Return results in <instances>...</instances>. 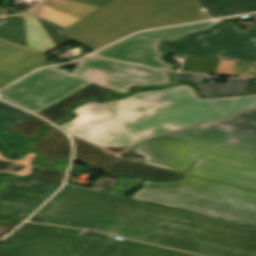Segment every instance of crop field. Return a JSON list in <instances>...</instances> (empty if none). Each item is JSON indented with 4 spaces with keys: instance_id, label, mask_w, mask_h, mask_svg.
Returning <instances> with one entry per match:
<instances>
[{
    "instance_id": "1",
    "label": "crop field",
    "mask_w": 256,
    "mask_h": 256,
    "mask_svg": "<svg viewBox=\"0 0 256 256\" xmlns=\"http://www.w3.org/2000/svg\"><path fill=\"white\" fill-rule=\"evenodd\" d=\"M143 163L256 191V110L148 140ZM130 198L256 226V193L185 176L145 180Z\"/></svg>"
},
{
    "instance_id": "2",
    "label": "crop field",
    "mask_w": 256,
    "mask_h": 256,
    "mask_svg": "<svg viewBox=\"0 0 256 256\" xmlns=\"http://www.w3.org/2000/svg\"><path fill=\"white\" fill-rule=\"evenodd\" d=\"M32 218L206 256H256V229L70 185Z\"/></svg>"
},
{
    "instance_id": "3",
    "label": "crop field",
    "mask_w": 256,
    "mask_h": 256,
    "mask_svg": "<svg viewBox=\"0 0 256 256\" xmlns=\"http://www.w3.org/2000/svg\"><path fill=\"white\" fill-rule=\"evenodd\" d=\"M252 108L256 95L199 99L192 87L181 85L90 102L73 109L77 117L59 126L99 147H130L147 137Z\"/></svg>"
},
{
    "instance_id": "4",
    "label": "crop field",
    "mask_w": 256,
    "mask_h": 256,
    "mask_svg": "<svg viewBox=\"0 0 256 256\" xmlns=\"http://www.w3.org/2000/svg\"><path fill=\"white\" fill-rule=\"evenodd\" d=\"M211 19L197 0H108L26 57L0 70L6 85L47 63L43 53L74 40L92 50L134 31Z\"/></svg>"
},
{
    "instance_id": "5",
    "label": "crop field",
    "mask_w": 256,
    "mask_h": 256,
    "mask_svg": "<svg viewBox=\"0 0 256 256\" xmlns=\"http://www.w3.org/2000/svg\"><path fill=\"white\" fill-rule=\"evenodd\" d=\"M76 68L64 72L51 67L39 70L0 91V99L35 114L93 83L128 93L133 86H158L173 82L168 72L87 56Z\"/></svg>"
},
{
    "instance_id": "6",
    "label": "crop field",
    "mask_w": 256,
    "mask_h": 256,
    "mask_svg": "<svg viewBox=\"0 0 256 256\" xmlns=\"http://www.w3.org/2000/svg\"><path fill=\"white\" fill-rule=\"evenodd\" d=\"M26 223L0 244V256H194L99 233Z\"/></svg>"
},
{
    "instance_id": "7",
    "label": "crop field",
    "mask_w": 256,
    "mask_h": 256,
    "mask_svg": "<svg viewBox=\"0 0 256 256\" xmlns=\"http://www.w3.org/2000/svg\"><path fill=\"white\" fill-rule=\"evenodd\" d=\"M164 49L174 50L173 55L256 62V28L240 31L232 22L197 38L165 42Z\"/></svg>"
},
{
    "instance_id": "8",
    "label": "crop field",
    "mask_w": 256,
    "mask_h": 256,
    "mask_svg": "<svg viewBox=\"0 0 256 256\" xmlns=\"http://www.w3.org/2000/svg\"><path fill=\"white\" fill-rule=\"evenodd\" d=\"M250 16L251 15L142 32L123 39L93 54L151 68L171 70L174 65L165 63L161 59L163 54V52L159 50L161 40H177L186 34H195L203 30L211 29L226 20L241 19Z\"/></svg>"
},
{
    "instance_id": "9",
    "label": "crop field",
    "mask_w": 256,
    "mask_h": 256,
    "mask_svg": "<svg viewBox=\"0 0 256 256\" xmlns=\"http://www.w3.org/2000/svg\"><path fill=\"white\" fill-rule=\"evenodd\" d=\"M0 222L18 226L61 184L34 177L0 176Z\"/></svg>"
},
{
    "instance_id": "10",
    "label": "crop field",
    "mask_w": 256,
    "mask_h": 256,
    "mask_svg": "<svg viewBox=\"0 0 256 256\" xmlns=\"http://www.w3.org/2000/svg\"><path fill=\"white\" fill-rule=\"evenodd\" d=\"M105 1L107 0H43L35 13L70 26ZM5 19L7 18L0 22ZM29 53L0 41V69Z\"/></svg>"
},
{
    "instance_id": "11",
    "label": "crop field",
    "mask_w": 256,
    "mask_h": 256,
    "mask_svg": "<svg viewBox=\"0 0 256 256\" xmlns=\"http://www.w3.org/2000/svg\"><path fill=\"white\" fill-rule=\"evenodd\" d=\"M2 134L16 136L24 141L23 147L19 149H9L6 154L11 155L13 152H26L34 150L44 157L43 164L57 163L63 160H70L71 146L66 135L57 128H52L46 134L34 141L30 142L19 137L16 134L1 132Z\"/></svg>"
},
{
    "instance_id": "12",
    "label": "crop field",
    "mask_w": 256,
    "mask_h": 256,
    "mask_svg": "<svg viewBox=\"0 0 256 256\" xmlns=\"http://www.w3.org/2000/svg\"><path fill=\"white\" fill-rule=\"evenodd\" d=\"M180 71L256 76V63L186 57Z\"/></svg>"
},
{
    "instance_id": "13",
    "label": "crop field",
    "mask_w": 256,
    "mask_h": 256,
    "mask_svg": "<svg viewBox=\"0 0 256 256\" xmlns=\"http://www.w3.org/2000/svg\"><path fill=\"white\" fill-rule=\"evenodd\" d=\"M115 92H117V91H113L110 89H106V88L91 84V85L85 87L84 89L76 92L75 94L69 96L68 98L60 101L59 103L53 105L52 107L44 110L43 112L39 113L38 115L55 123V122H58L64 118H66L67 116H69V114H67L65 112V110L68 107L74 105L75 103H77L83 99L105 97V96L110 95Z\"/></svg>"
},
{
    "instance_id": "14",
    "label": "crop field",
    "mask_w": 256,
    "mask_h": 256,
    "mask_svg": "<svg viewBox=\"0 0 256 256\" xmlns=\"http://www.w3.org/2000/svg\"><path fill=\"white\" fill-rule=\"evenodd\" d=\"M107 167L125 175L146 176L149 179H156V180H172L183 175L179 173H174V172H170L162 169H157V168L133 163L123 159H117L115 162L111 164H107Z\"/></svg>"
},
{
    "instance_id": "15",
    "label": "crop field",
    "mask_w": 256,
    "mask_h": 256,
    "mask_svg": "<svg viewBox=\"0 0 256 256\" xmlns=\"http://www.w3.org/2000/svg\"><path fill=\"white\" fill-rule=\"evenodd\" d=\"M213 18L256 11V0H200Z\"/></svg>"
},
{
    "instance_id": "16",
    "label": "crop field",
    "mask_w": 256,
    "mask_h": 256,
    "mask_svg": "<svg viewBox=\"0 0 256 256\" xmlns=\"http://www.w3.org/2000/svg\"><path fill=\"white\" fill-rule=\"evenodd\" d=\"M246 78L231 79L225 84L221 82L198 85L204 97L216 95L245 94Z\"/></svg>"
},
{
    "instance_id": "17",
    "label": "crop field",
    "mask_w": 256,
    "mask_h": 256,
    "mask_svg": "<svg viewBox=\"0 0 256 256\" xmlns=\"http://www.w3.org/2000/svg\"><path fill=\"white\" fill-rule=\"evenodd\" d=\"M75 143V156L76 160H83L90 166H95L98 163L105 164L113 157L109 156L106 152L101 149L79 139L72 137Z\"/></svg>"
},
{
    "instance_id": "18",
    "label": "crop field",
    "mask_w": 256,
    "mask_h": 256,
    "mask_svg": "<svg viewBox=\"0 0 256 256\" xmlns=\"http://www.w3.org/2000/svg\"><path fill=\"white\" fill-rule=\"evenodd\" d=\"M49 123L45 120L38 118L36 116L16 125L15 127L9 129L12 131L20 132L27 136H33L39 132V128L48 125Z\"/></svg>"
},
{
    "instance_id": "19",
    "label": "crop field",
    "mask_w": 256,
    "mask_h": 256,
    "mask_svg": "<svg viewBox=\"0 0 256 256\" xmlns=\"http://www.w3.org/2000/svg\"><path fill=\"white\" fill-rule=\"evenodd\" d=\"M138 180H140V178L126 179L121 177V182L110 188L111 190H114L112 194L126 197L129 192H131L135 189L136 186H138Z\"/></svg>"
},
{
    "instance_id": "20",
    "label": "crop field",
    "mask_w": 256,
    "mask_h": 256,
    "mask_svg": "<svg viewBox=\"0 0 256 256\" xmlns=\"http://www.w3.org/2000/svg\"><path fill=\"white\" fill-rule=\"evenodd\" d=\"M0 111L1 112H4V113H7L13 117L16 118V124L32 117L33 115L25 112V111H22L20 109H17L15 107H12V106H9L7 104H4L2 102H0Z\"/></svg>"
},
{
    "instance_id": "21",
    "label": "crop field",
    "mask_w": 256,
    "mask_h": 256,
    "mask_svg": "<svg viewBox=\"0 0 256 256\" xmlns=\"http://www.w3.org/2000/svg\"><path fill=\"white\" fill-rule=\"evenodd\" d=\"M33 176L62 183L65 174L57 171L47 170L44 168H38L37 173L34 174Z\"/></svg>"
},
{
    "instance_id": "22",
    "label": "crop field",
    "mask_w": 256,
    "mask_h": 256,
    "mask_svg": "<svg viewBox=\"0 0 256 256\" xmlns=\"http://www.w3.org/2000/svg\"><path fill=\"white\" fill-rule=\"evenodd\" d=\"M174 75H175V78H177V79L189 81L194 84L202 81L206 76V75H202V74H190V73H176Z\"/></svg>"
},
{
    "instance_id": "23",
    "label": "crop field",
    "mask_w": 256,
    "mask_h": 256,
    "mask_svg": "<svg viewBox=\"0 0 256 256\" xmlns=\"http://www.w3.org/2000/svg\"><path fill=\"white\" fill-rule=\"evenodd\" d=\"M24 167V165L8 163L0 160V171L17 172L19 170L24 169Z\"/></svg>"
},
{
    "instance_id": "24",
    "label": "crop field",
    "mask_w": 256,
    "mask_h": 256,
    "mask_svg": "<svg viewBox=\"0 0 256 256\" xmlns=\"http://www.w3.org/2000/svg\"><path fill=\"white\" fill-rule=\"evenodd\" d=\"M68 164H69V161H64V162L58 163V164L41 165V167L55 169V170H61V171L66 172Z\"/></svg>"
},
{
    "instance_id": "25",
    "label": "crop field",
    "mask_w": 256,
    "mask_h": 256,
    "mask_svg": "<svg viewBox=\"0 0 256 256\" xmlns=\"http://www.w3.org/2000/svg\"><path fill=\"white\" fill-rule=\"evenodd\" d=\"M34 154H28L26 157L20 159L19 161H13V162H18V163H22V164H26L29 165L31 159L33 158ZM1 159H5L3 157L0 156ZM7 160V159H5Z\"/></svg>"
},
{
    "instance_id": "26",
    "label": "crop field",
    "mask_w": 256,
    "mask_h": 256,
    "mask_svg": "<svg viewBox=\"0 0 256 256\" xmlns=\"http://www.w3.org/2000/svg\"><path fill=\"white\" fill-rule=\"evenodd\" d=\"M31 168L32 167H26L24 170L20 171V172H17V173H14V174H19V175H27L31 172ZM9 173V172H8Z\"/></svg>"
},
{
    "instance_id": "27",
    "label": "crop field",
    "mask_w": 256,
    "mask_h": 256,
    "mask_svg": "<svg viewBox=\"0 0 256 256\" xmlns=\"http://www.w3.org/2000/svg\"><path fill=\"white\" fill-rule=\"evenodd\" d=\"M6 146H7V143H6L4 140L0 139V152H1Z\"/></svg>"
},
{
    "instance_id": "28",
    "label": "crop field",
    "mask_w": 256,
    "mask_h": 256,
    "mask_svg": "<svg viewBox=\"0 0 256 256\" xmlns=\"http://www.w3.org/2000/svg\"><path fill=\"white\" fill-rule=\"evenodd\" d=\"M8 10H5L3 8H0V16L3 15L4 13H6Z\"/></svg>"
}]
</instances>
